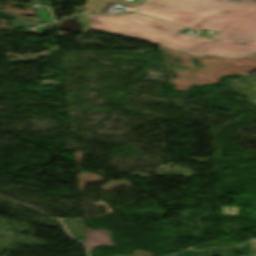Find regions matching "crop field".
Segmentation results:
<instances>
[{
	"instance_id": "1",
	"label": "crop field",
	"mask_w": 256,
	"mask_h": 256,
	"mask_svg": "<svg viewBox=\"0 0 256 256\" xmlns=\"http://www.w3.org/2000/svg\"><path fill=\"white\" fill-rule=\"evenodd\" d=\"M217 32L213 39L177 33V24L140 14L86 15L90 27L164 46L192 56H256V0H147L137 11Z\"/></svg>"
},
{
	"instance_id": "2",
	"label": "crop field",
	"mask_w": 256,
	"mask_h": 256,
	"mask_svg": "<svg viewBox=\"0 0 256 256\" xmlns=\"http://www.w3.org/2000/svg\"><path fill=\"white\" fill-rule=\"evenodd\" d=\"M107 2H114L127 5L129 7H134L136 3L124 1V0H87L84 8L91 9L95 11L94 13H100L101 9L105 6Z\"/></svg>"
},
{
	"instance_id": "3",
	"label": "crop field",
	"mask_w": 256,
	"mask_h": 256,
	"mask_svg": "<svg viewBox=\"0 0 256 256\" xmlns=\"http://www.w3.org/2000/svg\"><path fill=\"white\" fill-rule=\"evenodd\" d=\"M250 243L256 248V240H251Z\"/></svg>"
}]
</instances>
